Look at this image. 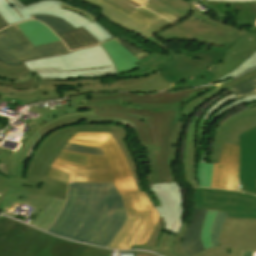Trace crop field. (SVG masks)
Returning a JSON list of instances; mask_svg holds the SVG:
<instances>
[{"label":"crop field","mask_w":256,"mask_h":256,"mask_svg":"<svg viewBox=\"0 0 256 256\" xmlns=\"http://www.w3.org/2000/svg\"><path fill=\"white\" fill-rule=\"evenodd\" d=\"M218 211H208L207 215L204 220L203 228L201 231V240L204 248H208L211 245L210 241V232H211V225L217 215Z\"/></svg>","instance_id":"36"},{"label":"crop field","mask_w":256,"mask_h":256,"mask_svg":"<svg viewBox=\"0 0 256 256\" xmlns=\"http://www.w3.org/2000/svg\"><path fill=\"white\" fill-rule=\"evenodd\" d=\"M207 121L195 117L189 126L184 156L185 179L188 186H198L196 162H200L202 141Z\"/></svg>","instance_id":"21"},{"label":"crop field","mask_w":256,"mask_h":256,"mask_svg":"<svg viewBox=\"0 0 256 256\" xmlns=\"http://www.w3.org/2000/svg\"><path fill=\"white\" fill-rule=\"evenodd\" d=\"M201 0H150L148 3L165 10L181 19L187 17L192 8Z\"/></svg>","instance_id":"29"},{"label":"crop field","mask_w":256,"mask_h":256,"mask_svg":"<svg viewBox=\"0 0 256 256\" xmlns=\"http://www.w3.org/2000/svg\"><path fill=\"white\" fill-rule=\"evenodd\" d=\"M58 36L68 45L70 50L98 44V42L82 28L58 34Z\"/></svg>","instance_id":"30"},{"label":"crop field","mask_w":256,"mask_h":256,"mask_svg":"<svg viewBox=\"0 0 256 256\" xmlns=\"http://www.w3.org/2000/svg\"><path fill=\"white\" fill-rule=\"evenodd\" d=\"M0 47L20 61L67 53L61 40L34 47L16 25L0 31Z\"/></svg>","instance_id":"16"},{"label":"crop field","mask_w":256,"mask_h":256,"mask_svg":"<svg viewBox=\"0 0 256 256\" xmlns=\"http://www.w3.org/2000/svg\"><path fill=\"white\" fill-rule=\"evenodd\" d=\"M31 15H50L63 19L73 28L82 27L99 43L114 38L95 17L58 0H45L24 7L18 0H0V17L8 24L32 19Z\"/></svg>","instance_id":"10"},{"label":"crop field","mask_w":256,"mask_h":256,"mask_svg":"<svg viewBox=\"0 0 256 256\" xmlns=\"http://www.w3.org/2000/svg\"><path fill=\"white\" fill-rule=\"evenodd\" d=\"M41 232L1 216L0 256H109L112 253Z\"/></svg>","instance_id":"8"},{"label":"crop field","mask_w":256,"mask_h":256,"mask_svg":"<svg viewBox=\"0 0 256 256\" xmlns=\"http://www.w3.org/2000/svg\"><path fill=\"white\" fill-rule=\"evenodd\" d=\"M170 87L158 74L142 78L116 80L112 84L101 85L99 78L59 81L40 79V88L14 90L0 84V101L6 102L5 96L22 100L24 104L36 101L60 98L90 91H158Z\"/></svg>","instance_id":"9"},{"label":"crop field","mask_w":256,"mask_h":256,"mask_svg":"<svg viewBox=\"0 0 256 256\" xmlns=\"http://www.w3.org/2000/svg\"><path fill=\"white\" fill-rule=\"evenodd\" d=\"M114 40H116L121 46H123L128 52H130L138 60H140V59L149 55L146 52H144L143 50L136 47L135 45L129 43L128 41H126V40H124L120 37H118Z\"/></svg>","instance_id":"39"},{"label":"crop field","mask_w":256,"mask_h":256,"mask_svg":"<svg viewBox=\"0 0 256 256\" xmlns=\"http://www.w3.org/2000/svg\"><path fill=\"white\" fill-rule=\"evenodd\" d=\"M219 243L220 247L195 256H242V251L256 252V220L227 218Z\"/></svg>","instance_id":"14"},{"label":"crop field","mask_w":256,"mask_h":256,"mask_svg":"<svg viewBox=\"0 0 256 256\" xmlns=\"http://www.w3.org/2000/svg\"><path fill=\"white\" fill-rule=\"evenodd\" d=\"M17 26L34 46L59 40L54 33L38 21H28L17 24Z\"/></svg>","instance_id":"28"},{"label":"crop field","mask_w":256,"mask_h":256,"mask_svg":"<svg viewBox=\"0 0 256 256\" xmlns=\"http://www.w3.org/2000/svg\"><path fill=\"white\" fill-rule=\"evenodd\" d=\"M239 146L223 145L220 164H214L212 187L237 190Z\"/></svg>","instance_id":"20"},{"label":"crop field","mask_w":256,"mask_h":256,"mask_svg":"<svg viewBox=\"0 0 256 256\" xmlns=\"http://www.w3.org/2000/svg\"><path fill=\"white\" fill-rule=\"evenodd\" d=\"M130 252H137V253H143V254H149V255L157 256V255H155L153 253L141 252V251H123V252H118V253H130Z\"/></svg>","instance_id":"47"},{"label":"crop field","mask_w":256,"mask_h":256,"mask_svg":"<svg viewBox=\"0 0 256 256\" xmlns=\"http://www.w3.org/2000/svg\"><path fill=\"white\" fill-rule=\"evenodd\" d=\"M228 212H219L212 226L211 241L213 247L219 246L218 238Z\"/></svg>","instance_id":"37"},{"label":"crop field","mask_w":256,"mask_h":256,"mask_svg":"<svg viewBox=\"0 0 256 256\" xmlns=\"http://www.w3.org/2000/svg\"><path fill=\"white\" fill-rule=\"evenodd\" d=\"M213 164L197 163V180L199 186L211 187Z\"/></svg>","instance_id":"35"},{"label":"crop field","mask_w":256,"mask_h":256,"mask_svg":"<svg viewBox=\"0 0 256 256\" xmlns=\"http://www.w3.org/2000/svg\"><path fill=\"white\" fill-rule=\"evenodd\" d=\"M250 31H255L256 32V21L252 24V26L249 29Z\"/></svg>","instance_id":"49"},{"label":"crop field","mask_w":256,"mask_h":256,"mask_svg":"<svg viewBox=\"0 0 256 256\" xmlns=\"http://www.w3.org/2000/svg\"><path fill=\"white\" fill-rule=\"evenodd\" d=\"M4 122L0 121V129L2 128Z\"/></svg>","instance_id":"53"},{"label":"crop field","mask_w":256,"mask_h":256,"mask_svg":"<svg viewBox=\"0 0 256 256\" xmlns=\"http://www.w3.org/2000/svg\"><path fill=\"white\" fill-rule=\"evenodd\" d=\"M219 4H231L229 13L234 16L235 22L240 25H251L256 20V1L250 3H224L202 1L200 5L210 9L220 18H228L226 13L222 11Z\"/></svg>","instance_id":"24"},{"label":"crop field","mask_w":256,"mask_h":256,"mask_svg":"<svg viewBox=\"0 0 256 256\" xmlns=\"http://www.w3.org/2000/svg\"><path fill=\"white\" fill-rule=\"evenodd\" d=\"M58 159L86 166L87 157L61 152L58 156Z\"/></svg>","instance_id":"41"},{"label":"crop field","mask_w":256,"mask_h":256,"mask_svg":"<svg viewBox=\"0 0 256 256\" xmlns=\"http://www.w3.org/2000/svg\"><path fill=\"white\" fill-rule=\"evenodd\" d=\"M256 76V69L231 82L197 97L191 102L184 103L168 109H153L154 132L157 145L142 146L146 148L150 171L146 176L149 184L170 182L171 177L166 159L168 155L178 156L179 145L183 137L184 128L191 114H194L205 101L227 90L228 88ZM231 93L230 91L218 96L201 110L198 117L216 100Z\"/></svg>","instance_id":"7"},{"label":"crop field","mask_w":256,"mask_h":256,"mask_svg":"<svg viewBox=\"0 0 256 256\" xmlns=\"http://www.w3.org/2000/svg\"><path fill=\"white\" fill-rule=\"evenodd\" d=\"M0 61L9 66L21 64V62H19L17 59H15L13 56L8 54L1 48H0Z\"/></svg>","instance_id":"43"},{"label":"crop field","mask_w":256,"mask_h":256,"mask_svg":"<svg viewBox=\"0 0 256 256\" xmlns=\"http://www.w3.org/2000/svg\"><path fill=\"white\" fill-rule=\"evenodd\" d=\"M245 32L217 22L208 15L193 9L191 15L184 21L168 27L156 36L165 41L183 40L192 42L196 40L229 49Z\"/></svg>","instance_id":"11"},{"label":"crop field","mask_w":256,"mask_h":256,"mask_svg":"<svg viewBox=\"0 0 256 256\" xmlns=\"http://www.w3.org/2000/svg\"><path fill=\"white\" fill-rule=\"evenodd\" d=\"M68 176H69L68 174H65L63 172H60L58 170H55V169L49 167V169L45 175V178L56 180V181L63 182V183L67 184Z\"/></svg>","instance_id":"42"},{"label":"crop field","mask_w":256,"mask_h":256,"mask_svg":"<svg viewBox=\"0 0 256 256\" xmlns=\"http://www.w3.org/2000/svg\"><path fill=\"white\" fill-rule=\"evenodd\" d=\"M64 201L62 199L10 189L2 202L0 201V211L15 218L16 215L8 212L11 207L15 203L19 205L21 203L27 204L35 208L31 215L36 216V218L30 224L46 230L57 217Z\"/></svg>","instance_id":"15"},{"label":"crop field","mask_w":256,"mask_h":256,"mask_svg":"<svg viewBox=\"0 0 256 256\" xmlns=\"http://www.w3.org/2000/svg\"><path fill=\"white\" fill-rule=\"evenodd\" d=\"M256 77L247 81H244L229 90L232 91L239 99L256 94Z\"/></svg>","instance_id":"33"},{"label":"crop field","mask_w":256,"mask_h":256,"mask_svg":"<svg viewBox=\"0 0 256 256\" xmlns=\"http://www.w3.org/2000/svg\"><path fill=\"white\" fill-rule=\"evenodd\" d=\"M125 1L129 2L130 4H132V5L135 6V7L141 6V5L135 3V2H133V1H131V0H125Z\"/></svg>","instance_id":"50"},{"label":"crop field","mask_w":256,"mask_h":256,"mask_svg":"<svg viewBox=\"0 0 256 256\" xmlns=\"http://www.w3.org/2000/svg\"><path fill=\"white\" fill-rule=\"evenodd\" d=\"M159 205L155 207L160 217H165L164 230L177 233L184 213L181 187L176 182L150 185L149 189Z\"/></svg>","instance_id":"17"},{"label":"crop field","mask_w":256,"mask_h":256,"mask_svg":"<svg viewBox=\"0 0 256 256\" xmlns=\"http://www.w3.org/2000/svg\"><path fill=\"white\" fill-rule=\"evenodd\" d=\"M82 1L102 8L103 10L99 13L108 18L110 21L146 37L159 47L165 49L167 52L175 56V58L165 68L158 72L168 84L172 85V88L167 90L209 84L216 76L206 68L221 62L224 58V53L226 50L216 47L211 48V51L199 50L195 52L181 49V52H183L185 55H178L151 37L173 23L162 18L163 20L155 23L154 26L147 29L136 21L123 15L119 11L101 2L96 0ZM107 1L119 6L129 13L136 9L121 0ZM191 76H193V78H191Z\"/></svg>","instance_id":"5"},{"label":"crop field","mask_w":256,"mask_h":256,"mask_svg":"<svg viewBox=\"0 0 256 256\" xmlns=\"http://www.w3.org/2000/svg\"><path fill=\"white\" fill-rule=\"evenodd\" d=\"M30 111V112H34V113H38L40 114L39 117L37 119H34L36 121H48L54 117H57L61 114H64V113H67V112H75L77 110H74L72 109L69 105L65 106V108H62V109H59V110H53V111H49V112H46V109H38L36 107V105L34 106H31V108L29 110H27V112Z\"/></svg>","instance_id":"34"},{"label":"crop field","mask_w":256,"mask_h":256,"mask_svg":"<svg viewBox=\"0 0 256 256\" xmlns=\"http://www.w3.org/2000/svg\"><path fill=\"white\" fill-rule=\"evenodd\" d=\"M177 160H178V157H172V156H169L167 159L168 166H169L171 177H172L173 181H175V171H174L173 163L177 162Z\"/></svg>","instance_id":"45"},{"label":"crop field","mask_w":256,"mask_h":256,"mask_svg":"<svg viewBox=\"0 0 256 256\" xmlns=\"http://www.w3.org/2000/svg\"><path fill=\"white\" fill-rule=\"evenodd\" d=\"M115 41L110 40L101 45L112 57L118 74L138 69V66L135 64L138 60L128 53L124 48H122L123 46L121 47L118 43H116L117 41Z\"/></svg>","instance_id":"27"},{"label":"crop field","mask_w":256,"mask_h":256,"mask_svg":"<svg viewBox=\"0 0 256 256\" xmlns=\"http://www.w3.org/2000/svg\"><path fill=\"white\" fill-rule=\"evenodd\" d=\"M243 102L246 104L256 102V95L239 100L236 96H234L231 93V94L223 97L222 99L216 101L204 112V114L202 115L201 118L209 119V121H208L206 133H205V137H204V141H203L201 162H205V159H206L207 146H208V142H209V138H210V136H208V129H209L210 125L212 124V122L218 116L226 113L230 109L234 108L235 106H237Z\"/></svg>","instance_id":"25"},{"label":"crop field","mask_w":256,"mask_h":256,"mask_svg":"<svg viewBox=\"0 0 256 256\" xmlns=\"http://www.w3.org/2000/svg\"><path fill=\"white\" fill-rule=\"evenodd\" d=\"M255 66H256V52L246 62H244L240 67H238L235 71L227 74L226 76H224V77H222V78H220V79H218V80H216L215 82H212V83L224 81V80H226L230 77H233V76H235V75H237L241 72H244L248 69H251Z\"/></svg>","instance_id":"38"},{"label":"crop field","mask_w":256,"mask_h":256,"mask_svg":"<svg viewBox=\"0 0 256 256\" xmlns=\"http://www.w3.org/2000/svg\"><path fill=\"white\" fill-rule=\"evenodd\" d=\"M256 51V33L247 31L225 53V59L218 65L208 68L216 74V79L235 70Z\"/></svg>","instance_id":"22"},{"label":"crop field","mask_w":256,"mask_h":256,"mask_svg":"<svg viewBox=\"0 0 256 256\" xmlns=\"http://www.w3.org/2000/svg\"><path fill=\"white\" fill-rule=\"evenodd\" d=\"M194 208L229 211L227 217L256 219V196L219 189L193 188Z\"/></svg>","instance_id":"13"},{"label":"crop field","mask_w":256,"mask_h":256,"mask_svg":"<svg viewBox=\"0 0 256 256\" xmlns=\"http://www.w3.org/2000/svg\"><path fill=\"white\" fill-rule=\"evenodd\" d=\"M68 142L101 147L106 156L85 155L88 156L87 167L56 159L52 165L53 167L70 173V181L73 182L113 181L120 195L131 193L139 212L147 210L128 162L111 134L94 132L76 133Z\"/></svg>","instance_id":"6"},{"label":"crop field","mask_w":256,"mask_h":256,"mask_svg":"<svg viewBox=\"0 0 256 256\" xmlns=\"http://www.w3.org/2000/svg\"><path fill=\"white\" fill-rule=\"evenodd\" d=\"M133 1H135V2H137L139 4H142V5L147 2V0H133Z\"/></svg>","instance_id":"51"},{"label":"crop field","mask_w":256,"mask_h":256,"mask_svg":"<svg viewBox=\"0 0 256 256\" xmlns=\"http://www.w3.org/2000/svg\"><path fill=\"white\" fill-rule=\"evenodd\" d=\"M256 90V89H255Z\"/></svg>","instance_id":"54"},{"label":"crop field","mask_w":256,"mask_h":256,"mask_svg":"<svg viewBox=\"0 0 256 256\" xmlns=\"http://www.w3.org/2000/svg\"><path fill=\"white\" fill-rule=\"evenodd\" d=\"M214 86L174 91L168 93L135 94L105 93L87 94L67 98L73 102L75 113L61 115L47 123L32 120L30 129L22 136L24 144L19 152L0 147V163H5L9 177H16L17 162L28 163L40 141L50 132L70 124L92 122H119L130 125L141 145L156 144L153 132L152 108H168L191 101ZM30 150V151H29Z\"/></svg>","instance_id":"1"},{"label":"crop field","mask_w":256,"mask_h":256,"mask_svg":"<svg viewBox=\"0 0 256 256\" xmlns=\"http://www.w3.org/2000/svg\"><path fill=\"white\" fill-rule=\"evenodd\" d=\"M64 149L73 151V152L85 153V154L104 155L101 148L79 146L71 143H68Z\"/></svg>","instance_id":"40"},{"label":"crop field","mask_w":256,"mask_h":256,"mask_svg":"<svg viewBox=\"0 0 256 256\" xmlns=\"http://www.w3.org/2000/svg\"><path fill=\"white\" fill-rule=\"evenodd\" d=\"M22 63L9 67L0 62V83L26 89L39 87V78L70 80L117 75L112 59L101 45Z\"/></svg>","instance_id":"4"},{"label":"crop field","mask_w":256,"mask_h":256,"mask_svg":"<svg viewBox=\"0 0 256 256\" xmlns=\"http://www.w3.org/2000/svg\"><path fill=\"white\" fill-rule=\"evenodd\" d=\"M127 218L113 183H70L65 206L48 232L108 247Z\"/></svg>","instance_id":"2"},{"label":"crop field","mask_w":256,"mask_h":256,"mask_svg":"<svg viewBox=\"0 0 256 256\" xmlns=\"http://www.w3.org/2000/svg\"><path fill=\"white\" fill-rule=\"evenodd\" d=\"M164 218H160L159 222L145 247H135L133 249H146L156 251L164 256H188L181 248L180 243L182 236L188 226L182 223L177 235L164 232Z\"/></svg>","instance_id":"23"},{"label":"crop field","mask_w":256,"mask_h":256,"mask_svg":"<svg viewBox=\"0 0 256 256\" xmlns=\"http://www.w3.org/2000/svg\"><path fill=\"white\" fill-rule=\"evenodd\" d=\"M143 6L148 8V9H150V10H152V11H154L155 13L161 15L162 17H164V18H166V19H168V20H170V21H172L174 23L180 20L177 17H175L173 15H170V14H168V13H166V12L156 8V7H153V6H151V5L147 4V3L145 5H143Z\"/></svg>","instance_id":"44"},{"label":"crop field","mask_w":256,"mask_h":256,"mask_svg":"<svg viewBox=\"0 0 256 256\" xmlns=\"http://www.w3.org/2000/svg\"><path fill=\"white\" fill-rule=\"evenodd\" d=\"M5 26H8V25L0 18V29Z\"/></svg>","instance_id":"48"},{"label":"crop field","mask_w":256,"mask_h":256,"mask_svg":"<svg viewBox=\"0 0 256 256\" xmlns=\"http://www.w3.org/2000/svg\"><path fill=\"white\" fill-rule=\"evenodd\" d=\"M140 193L149 210L138 213L131 195L121 196L129 218L122 230L111 243V248L131 249L134 246H144L149 240L159 217L145 191Z\"/></svg>","instance_id":"12"},{"label":"crop field","mask_w":256,"mask_h":256,"mask_svg":"<svg viewBox=\"0 0 256 256\" xmlns=\"http://www.w3.org/2000/svg\"><path fill=\"white\" fill-rule=\"evenodd\" d=\"M240 137L239 191L256 195V127Z\"/></svg>","instance_id":"19"},{"label":"crop field","mask_w":256,"mask_h":256,"mask_svg":"<svg viewBox=\"0 0 256 256\" xmlns=\"http://www.w3.org/2000/svg\"><path fill=\"white\" fill-rule=\"evenodd\" d=\"M83 131L110 132L126 155L139 190H144L137 175L132 154L125 141L128 136L124 128L118 126L71 125L47 135L41 141L28 164L18 163L17 178H6L0 174V201L10 188L65 199L67 185L43 177L67 141L76 132ZM145 191L154 207L158 205L151 192L149 190Z\"/></svg>","instance_id":"3"},{"label":"crop field","mask_w":256,"mask_h":256,"mask_svg":"<svg viewBox=\"0 0 256 256\" xmlns=\"http://www.w3.org/2000/svg\"><path fill=\"white\" fill-rule=\"evenodd\" d=\"M135 256H149V255H143V254H137V253H135Z\"/></svg>","instance_id":"52"},{"label":"crop field","mask_w":256,"mask_h":256,"mask_svg":"<svg viewBox=\"0 0 256 256\" xmlns=\"http://www.w3.org/2000/svg\"><path fill=\"white\" fill-rule=\"evenodd\" d=\"M210 1H225V2H250L255 0H210Z\"/></svg>","instance_id":"46"},{"label":"crop field","mask_w":256,"mask_h":256,"mask_svg":"<svg viewBox=\"0 0 256 256\" xmlns=\"http://www.w3.org/2000/svg\"><path fill=\"white\" fill-rule=\"evenodd\" d=\"M206 212L205 210L194 209V215L182 239L181 246L189 256L204 250L200 240V231Z\"/></svg>","instance_id":"26"},{"label":"crop field","mask_w":256,"mask_h":256,"mask_svg":"<svg viewBox=\"0 0 256 256\" xmlns=\"http://www.w3.org/2000/svg\"><path fill=\"white\" fill-rule=\"evenodd\" d=\"M246 107L248 109L225 120L217 128L210 163H219L223 143L239 145L238 136L256 126V103Z\"/></svg>","instance_id":"18"},{"label":"crop field","mask_w":256,"mask_h":256,"mask_svg":"<svg viewBox=\"0 0 256 256\" xmlns=\"http://www.w3.org/2000/svg\"><path fill=\"white\" fill-rule=\"evenodd\" d=\"M34 19H38L39 21L47 24L56 34L74 30L70 25L66 22L56 19L55 17L49 16H33Z\"/></svg>","instance_id":"32"},{"label":"crop field","mask_w":256,"mask_h":256,"mask_svg":"<svg viewBox=\"0 0 256 256\" xmlns=\"http://www.w3.org/2000/svg\"><path fill=\"white\" fill-rule=\"evenodd\" d=\"M98 1H101L103 3H106V4L114 7L115 9L124 13L128 17L138 21L139 23H141L142 25H144L147 28L154 25L155 22L162 19L161 17L155 15L154 13H152V12H150V11L144 9V8H138L137 10H135L134 12L129 14V13L125 12L124 10L120 9L119 7L107 2L106 0H98Z\"/></svg>","instance_id":"31"}]
</instances>
